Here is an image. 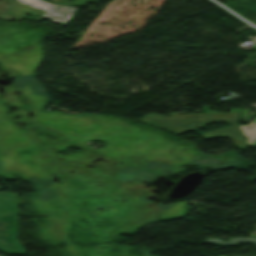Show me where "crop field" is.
<instances>
[{
	"instance_id": "1",
	"label": "crop field",
	"mask_w": 256,
	"mask_h": 256,
	"mask_svg": "<svg viewBox=\"0 0 256 256\" xmlns=\"http://www.w3.org/2000/svg\"><path fill=\"white\" fill-rule=\"evenodd\" d=\"M240 113L230 114H201V115H180L172 113L171 118L158 115H148L141 119V122L153 124L176 133H183L188 130L197 129L203 125L215 121H225L233 124L232 128H224L201 134L206 140L210 138H232L236 147L244 150L248 144L243 139V134L237 126Z\"/></svg>"
},
{
	"instance_id": "2",
	"label": "crop field",
	"mask_w": 256,
	"mask_h": 256,
	"mask_svg": "<svg viewBox=\"0 0 256 256\" xmlns=\"http://www.w3.org/2000/svg\"><path fill=\"white\" fill-rule=\"evenodd\" d=\"M23 4H28L29 6L39 8L42 10L47 11L42 18L47 20L59 23L61 25L66 26L74 12L76 11L75 8H70L66 6H56L52 5L40 0H17ZM59 16V19H55V17Z\"/></svg>"
},
{
	"instance_id": "3",
	"label": "crop field",
	"mask_w": 256,
	"mask_h": 256,
	"mask_svg": "<svg viewBox=\"0 0 256 256\" xmlns=\"http://www.w3.org/2000/svg\"><path fill=\"white\" fill-rule=\"evenodd\" d=\"M204 242L211 243V244H216V245H221V246H237V244L239 242L256 244V239H253V238H232V239H229L228 242H224V241H221L219 239L207 238Z\"/></svg>"
},
{
	"instance_id": "4",
	"label": "crop field",
	"mask_w": 256,
	"mask_h": 256,
	"mask_svg": "<svg viewBox=\"0 0 256 256\" xmlns=\"http://www.w3.org/2000/svg\"><path fill=\"white\" fill-rule=\"evenodd\" d=\"M248 127H252V129H247ZM242 133L245 137L249 138L247 141L249 143V146L252 148H256V141L253 142V140H256V127L255 126H239Z\"/></svg>"
},
{
	"instance_id": "5",
	"label": "crop field",
	"mask_w": 256,
	"mask_h": 256,
	"mask_svg": "<svg viewBox=\"0 0 256 256\" xmlns=\"http://www.w3.org/2000/svg\"><path fill=\"white\" fill-rule=\"evenodd\" d=\"M249 125H255L256 126V118Z\"/></svg>"
}]
</instances>
